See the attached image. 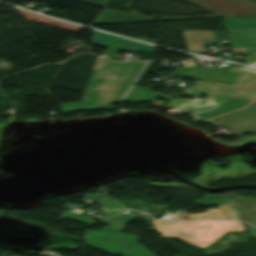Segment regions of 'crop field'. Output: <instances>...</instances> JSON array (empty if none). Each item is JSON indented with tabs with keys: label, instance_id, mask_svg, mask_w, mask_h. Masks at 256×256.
Returning <instances> with one entry per match:
<instances>
[{
	"label": "crop field",
	"instance_id": "crop-field-14",
	"mask_svg": "<svg viewBox=\"0 0 256 256\" xmlns=\"http://www.w3.org/2000/svg\"><path fill=\"white\" fill-rule=\"evenodd\" d=\"M135 218H137V216H135L133 213L128 211V212H125L123 214L112 217L110 219L125 224V223H127V222H129V221H131Z\"/></svg>",
	"mask_w": 256,
	"mask_h": 256
},
{
	"label": "crop field",
	"instance_id": "crop-field-11",
	"mask_svg": "<svg viewBox=\"0 0 256 256\" xmlns=\"http://www.w3.org/2000/svg\"><path fill=\"white\" fill-rule=\"evenodd\" d=\"M146 62H133V63H123L115 62V64L122 65L128 72L137 77V75L142 70Z\"/></svg>",
	"mask_w": 256,
	"mask_h": 256
},
{
	"label": "crop field",
	"instance_id": "crop-field-2",
	"mask_svg": "<svg viewBox=\"0 0 256 256\" xmlns=\"http://www.w3.org/2000/svg\"><path fill=\"white\" fill-rule=\"evenodd\" d=\"M87 246L116 255L138 244L141 238L110 231H89Z\"/></svg>",
	"mask_w": 256,
	"mask_h": 256
},
{
	"label": "crop field",
	"instance_id": "crop-field-16",
	"mask_svg": "<svg viewBox=\"0 0 256 256\" xmlns=\"http://www.w3.org/2000/svg\"><path fill=\"white\" fill-rule=\"evenodd\" d=\"M102 222L109 224L108 226H106L102 230H111V231H118L119 232L120 230L125 228V226L123 224L114 222V221H112L110 219H108L106 221H102Z\"/></svg>",
	"mask_w": 256,
	"mask_h": 256
},
{
	"label": "crop field",
	"instance_id": "crop-field-9",
	"mask_svg": "<svg viewBox=\"0 0 256 256\" xmlns=\"http://www.w3.org/2000/svg\"><path fill=\"white\" fill-rule=\"evenodd\" d=\"M217 230L215 224H193L186 229L188 235H208Z\"/></svg>",
	"mask_w": 256,
	"mask_h": 256
},
{
	"label": "crop field",
	"instance_id": "crop-field-13",
	"mask_svg": "<svg viewBox=\"0 0 256 256\" xmlns=\"http://www.w3.org/2000/svg\"><path fill=\"white\" fill-rule=\"evenodd\" d=\"M189 217H218V218H227L224 216L219 209H208L207 212L202 214H189Z\"/></svg>",
	"mask_w": 256,
	"mask_h": 256
},
{
	"label": "crop field",
	"instance_id": "crop-field-3",
	"mask_svg": "<svg viewBox=\"0 0 256 256\" xmlns=\"http://www.w3.org/2000/svg\"><path fill=\"white\" fill-rule=\"evenodd\" d=\"M219 17L256 16V4L249 0H185Z\"/></svg>",
	"mask_w": 256,
	"mask_h": 256
},
{
	"label": "crop field",
	"instance_id": "crop-field-7",
	"mask_svg": "<svg viewBox=\"0 0 256 256\" xmlns=\"http://www.w3.org/2000/svg\"><path fill=\"white\" fill-rule=\"evenodd\" d=\"M188 51L204 53L201 39L213 38L211 31H183Z\"/></svg>",
	"mask_w": 256,
	"mask_h": 256
},
{
	"label": "crop field",
	"instance_id": "crop-field-20",
	"mask_svg": "<svg viewBox=\"0 0 256 256\" xmlns=\"http://www.w3.org/2000/svg\"><path fill=\"white\" fill-rule=\"evenodd\" d=\"M90 83H91V81H90ZM90 85V84H89ZM88 88H89V86H88ZM88 90V89H87ZM87 100H92V98L90 97V95L88 94V92H86V95H85V98H84V100L83 101H87Z\"/></svg>",
	"mask_w": 256,
	"mask_h": 256
},
{
	"label": "crop field",
	"instance_id": "crop-field-17",
	"mask_svg": "<svg viewBox=\"0 0 256 256\" xmlns=\"http://www.w3.org/2000/svg\"><path fill=\"white\" fill-rule=\"evenodd\" d=\"M220 210L229 218H239L236 209H233L231 206H219Z\"/></svg>",
	"mask_w": 256,
	"mask_h": 256
},
{
	"label": "crop field",
	"instance_id": "crop-field-12",
	"mask_svg": "<svg viewBox=\"0 0 256 256\" xmlns=\"http://www.w3.org/2000/svg\"><path fill=\"white\" fill-rule=\"evenodd\" d=\"M103 207L107 209L125 208L118 200H112L107 196L96 199Z\"/></svg>",
	"mask_w": 256,
	"mask_h": 256
},
{
	"label": "crop field",
	"instance_id": "crop-field-4",
	"mask_svg": "<svg viewBox=\"0 0 256 256\" xmlns=\"http://www.w3.org/2000/svg\"><path fill=\"white\" fill-rule=\"evenodd\" d=\"M197 85L214 93L256 99V70L244 68L234 86L198 82Z\"/></svg>",
	"mask_w": 256,
	"mask_h": 256
},
{
	"label": "crop field",
	"instance_id": "crop-field-10",
	"mask_svg": "<svg viewBox=\"0 0 256 256\" xmlns=\"http://www.w3.org/2000/svg\"><path fill=\"white\" fill-rule=\"evenodd\" d=\"M123 256H157L141 244L121 253Z\"/></svg>",
	"mask_w": 256,
	"mask_h": 256
},
{
	"label": "crop field",
	"instance_id": "crop-field-15",
	"mask_svg": "<svg viewBox=\"0 0 256 256\" xmlns=\"http://www.w3.org/2000/svg\"><path fill=\"white\" fill-rule=\"evenodd\" d=\"M64 217L68 218V219L77 220V221H80L83 223H88V224H93L95 222V219L92 217L74 215V214H70V213L66 214Z\"/></svg>",
	"mask_w": 256,
	"mask_h": 256
},
{
	"label": "crop field",
	"instance_id": "crop-field-1",
	"mask_svg": "<svg viewBox=\"0 0 256 256\" xmlns=\"http://www.w3.org/2000/svg\"><path fill=\"white\" fill-rule=\"evenodd\" d=\"M135 78L122 66L98 57L88 90L94 101L61 104L62 113L94 110L100 105L118 103Z\"/></svg>",
	"mask_w": 256,
	"mask_h": 256
},
{
	"label": "crop field",
	"instance_id": "crop-field-8",
	"mask_svg": "<svg viewBox=\"0 0 256 256\" xmlns=\"http://www.w3.org/2000/svg\"><path fill=\"white\" fill-rule=\"evenodd\" d=\"M162 93H155L150 89L134 86L124 101L144 102L155 101Z\"/></svg>",
	"mask_w": 256,
	"mask_h": 256
},
{
	"label": "crop field",
	"instance_id": "crop-field-5",
	"mask_svg": "<svg viewBox=\"0 0 256 256\" xmlns=\"http://www.w3.org/2000/svg\"><path fill=\"white\" fill-rule=\"evenodd\" d=\"M92 44L109 48L102 57L113 58V56L120 50L126 52H152L154 47L139 44L129 40L121 39L105 33L94 31Z\"/></svg>",
	"mask_w": 256,
	"mask_h": 256
},
{
	"label": "crop field",
	"instance_id": "crop-field-19",
	"mask_svg": "<svg viewBox=\"0 0 256 256\" xmlns=\"http://www.w3.org/2000/svg\"><path fill=\"white\" fill-rule=\"evenodd\" d=\"M120 211H124V210H119V211H108V212L104 213L103 215H105V216H106V218H107V217H109V216H111V215H113V214H115V213H117V212H120ZM117 214H118V213H117Z\"/></svg>",
	"mask_w": 256,
	"mask_h": 256
},
{
	"label": "crop field",
	"instance_id": "crop-field-6",
	"mask_svg": "<svg viewBox=\"0 0 256 256\" xmlns=\"http://www.w3.org/2000/svg\"><path fill=\"white\" fill-rule=\"evenodd\" d=\"M199 68H200L199 65L178 68L174 73L179 74L181 76L193 77L201 81L230 84V85H234V83L240 76L239 73L226 72V71L201 70Z\"/></svg>",
	"mask_w": 256,
	"mask_h": 256
},
{
	"label": "crop field",
	"instance_id": "crop-field-18",
	"mask_svg": "<svg viewBox=\"0 0 256 256\" xmlns=\"http://www.w3.org/2000/svg\"><path fill=\"white\" fill-rule=\"evenodd\" d=\"M75 1H80L84 3L105 7V5L108 3L109 0H75Z\"/></svg>",
	"mask_w": 256,
	"mask_h": 256
}]
</instances>
